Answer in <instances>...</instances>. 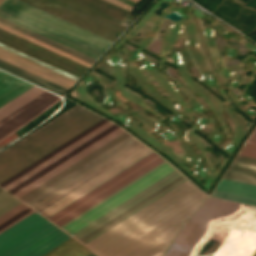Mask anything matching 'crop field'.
I'll return each mask as SVG.
<instances>
[{
  "instance_id": "1",
  "label": "crop field",
  "mask_w": 256,
  "mask_h": 256,
  "mask_svg": "<svg viewBox=\"0 0 256 256\" xmlns=\"http://www.w3.org/2000/svg\"><path fill=\"white\" fill-rule=\"evenodd\" d=\"M185 180L152 152L48 219L85 244Z\"/></svg>"
},
{
  "instance_id": "2",
  "label": "crop field",
  "mask_w": 256,
  "mask_h": 256,
  "mask_svg": "<svg viewBox=\"0 0 256 256\" xmlns=\"http://www.w3.org/2000/svg\"><path fill=\"white\" fill-rule=\"evenodd\" d=\"M205 195L188 180L98 236L87 246L99 256H110L195 200ZM203 196L111 256H161L180 228L203 202Z\"/></svg>"
},
{
  "instance_id": "3",
  "label": "crop field",
  "mask_w": 256,
  "mask_h": 256,
  "mask_svg": "<svg viewBox=\"0 0 256 256\" xmlns=\"http://www.w3.org/2000/svg\"><path fill=\"white\" fill-rule=\"evenodd\" d=\"M130 136L25 203L48 218L152 152Z\"/></svg>"
},
{
  "instance_id": "4",
  "label": "crop field",
  "mask_w": 256,
  "mask_h": 256,
  "mask_svg": "<svg viewBox=\"0 0 256 256\" xmlns=\"http://www.w3.org/2000/svg\"><path fill=\"white\" fill-rule=\"evenodd\" d=\"M90 112L76 105L0 152V185L104 120Z\"/></svg>"
},
{
  "instance_id": "5",
  "label": "crop field",
  "mask_w": 256,
  "mask_h": 256,
  "mask_svg": "<svg viewBox=\"0 0 256 256\" xmlns=\"http://www.w3.org/2000/svg\"><path fill=\"white\" fill-rule=\"evenodd\" d=\"M123 132L105 120L1 186L20 198Z\"/></svg>"
},
{
  "instance_id": "6",
  "label": "crop field",
  "mask_w": 256,
  "mask_h": 256,
  "mask_svg": "<svg viewBox=\"0 0 256 256\" xmlns=\"http://www.w3.org/2000/svg\"><path fill=\"white\" fill-rule=\"evenodd\" d=\"M0 17L97 59L112 43L98 35L24 4L5 0Z\"/></svg>"
},
{
  "instance_id": "7",
  "label": "crop field",
  "mask_w": 256,
  "mask_h": 256,
  "mask_svg": "<svg viewBox=\"0 0 256 256\" xmlns=\"http://www.w3.org/2000/svg\"><path fill=\"white\" fill-rule=\"evenodd\" d=\"M30 85L0 71V104ZM60 100L61 98L32 85L0 105V146L17 136V130Z\"/></svg>"
},
{
  "instance_id": "8",
  "label": "crop field",
  "mask_w": 256,
  "mask_h": 256,
  "mask_svg": "<svg viewBox=\"0 0 256 256\" xmlns=\"http://www.w3.org/2000/svg\"><path fill=\"white\" fill-rule=\"evenodd\" d=\"M69 238L35 212L0 234V256H42Z\"/></svg>"
},
{
  "instance_id": "9",
  "label": "crop field",
  "mask_w": 256,
  "mask_h": 256,
  "mask_svg": "<svg viewBox=\"0 0 256 256\" xmlns=\"http://www.w3.org/2000/svg\"><path fill=\"white\" fill-rule=\"evenodd\" d=\"M223 178L256 185V159L236 155Z\"/></svg>"
},
{
  "instance_id": "10",
  "label": "crop field",
  "mask_w": 256,
  "mask_h": 256,
  "mask_svg": "<svg viewBox=\"0 0 256 256\" xmlns=\"http://www.w3.org/2000/svg\"><path fill=\"white\" fill-rule=\"evenodd\" d=\"M127 136H129L126 132L123 133L122 135L118 136L117 138H115L114 140H112L111 142L107 143L106 145H104L103 147L99 148L98 150H96L95 152H93L92 154L88 155L87 157H85L84 159L80 160L79 162H77L76 164H74L73 166L69 167L68 169H66L65 171L61 172L60 174H58L57 176H55L54 178L50 179L49 181H47L46 183L42 184L41 186H39L38 188H36L35 190L31 191L30 193H28L27 195L23 196L22 198H20L21 200H23L24 202L27 201L28 199H30L31 197H33L34 195L38 194L39 192H41L42 190L46 189L47 187H49L50 185H52L53 183L57 182L58 180H60L61 178H63L64 176L68 175L69 173H71L72 171H74L75 169L79 168L80 166H82L83 164H85L86 162L90 161L91 159H93L94 157H96L97 155L101 154L102 152H104L105 150H107L108 148H110L111 146L115 145L116 143H118L119 141H121L122 139L126 138Z\"/></svg>"
},
{
  "instance_id": "11",
  "label": "crop field",
  "mask_w": 256,
  "mask_h": 256,
  "mask_svg": "<svg viewBox=\"0 0 256 256\" xmlns=\"http://www.w3.org/2000/svg\"><path fill=\"white\" fill-rule=\"evenodd\" d=\"M0 69L4 70V71H7L13 75H16L22 79H25L31 83H34L42 88H45L51 92H54L60 96H62L64 93L67 92V90L61 88V87H58L50 82H47L41 78H38L32 74H29L23 70H20L12 65H9L3 61H0Z\"/></svg>"
},
{
  "instance_id": "12",
  "label": "crop field",
  "mask_w": 256,
  "mask_h": 256,
  "mask_svg": "<svg viewBox=\"0 0 256 256\" xmlns=\"http://www.w3.org/2000/svg\"><path fill=\"white\" fill-rule=\"evenodd\" d=\"M0 23L4 24L6 26H9V27H11V28H13L15 30H18V31H20V32H22L24 34H27V35H29V36H31L33 38H36V39H38V40H40V41H42L44 43H47V44H49V45H51L53 47H56V48H58V49H60L62 51H65V52H67V53H69L71 55H74V56H76V57H78V58H80L82 60H85V61L91 63V64H93L94 61H95V59H93V58H91L89 56H86V55H84V54H82L80 52H77V51H75L73 49H70V48H68V47H66L64 45H61V44H59V43H57L55 41H52V40H50V39H48L46 37H43V36H41V35H39L37 33H34V32H32V31H30L28 29H25V28H23L21 26H18V25L14 24L12 22H9V21H7V20H5L3 18H0Z\"/></svg>"
},
{
  "instance_id": "13",
  "label": "crop field",
  "mask_w": 256,
  "mask_h": 256,
  "mask_svg": "<svg viewBox=\"0 0 256 256\" xmlns=\"http://www.w3.org/2000/svg\"><path fill=\"white\" fill-rule=\"evenodd\" d=\"M90 252L92 251L71 238L60 246L53 249L52 251L48 252L44 256H85ZM87 256L97 255L92 252Z\"/></svg>"
},
{
  "instance_id": "14",
  "label": "crop field",
  "mask_w": 256,
  "mask_h": 256,
  "mask_svg": "<svg viewBox=\"0 0 256 256\" xmlns=\"http://www.w3.org/2000/svg\"><path fill=\"white\" fill-rule=\"evenodd\" d=\"M33 212L35 211L28 208L22 203L14 207L7 213L0 216V233L5 231L12 225L16 224L20 220L24 219L28 215L32 214Z\"/></svg>"
},
{
  "instance_id": "15",
  "label": "crop field",
  "mask_w": 256,
  "mask_h": 256,
  "mask_svg": "<svg viewBox=\"0 0 256 256\" xmlns=\"http://www.w3.org/2000/svg\"><path fill=\"white\" fill-rule=\"evenodd\" d=\"M215 189L256 198V186L253 185L222 179Z\"/></svg>"
},
{
  "instance_id": "16",
  "label": "crop field",
  "mask_w": 256,
  "mask_h": 256,
  "mask_svg": "<svg viewBox=\"0 0 256 256\" xmlns=\"http://www.w3.org/2000/svg\"><path fill=\"white\" fill-rule=\"evenodd\" d=\"M3 190L0 188V191ZM19 202L17 199L12 197L10 194H8L6 191H1L0 192V215L3 213L7 212L14 206L18 205Z\"/></svg>"
},
{
  "instance_id": "17",
  "label": "crop field",
  "mask_w": 256,
  "mask_h": 256,
  "mask_svg": "<svg viewBox=\"0 0 256 256\" xmlns=\"http://www.w3.org/2000/svg\"><path fill=\"white\" fill-rule=\"evenodd\" d=\"M238 154L256 158V128Z\"/></svg>"
},
{
  "instance_id": "18",
  "label": "crop field",
  "mask_w": 256,
  "mask_h": 256,
  "mask_svg": "<svg viewBox=\"0 0 256 256\" xmlns=\"http://www.w3.org/2000/svg\"><path fill=\"white\" fill-rule=\"evenodd\" d=\"M212 196L232 200V201H237V202H242L246 204H251V205H256V199L254 198H249V197H244L240 195H235V194H230V193H225L221 191H216L212 193Z\"/></svg>"
},
{
  "instance_id": "19",
  "label": "crop field",
  "mask_w": 256,
  "mask_h": 256,
  "mask_svg": "<svg viewBox=\"0 0 256 256\" xmlns=\"http://www.w3.org/2000/svg\"><path fill=\"white\" fill-rule=\"evenodd\" d=\"M0 47L5 48V49H7V50H9V51H11V52H13V53H16V54L22 56V57H25V58H27V59L33 61V62H36V63H38V64H40V65H42V66H44V67H47V68H49V69H51V70H53V71H55V72H58V73L62 74V75H64V76H67V77H69V78H71V79H73V80H75V81L78 80V78H76V77H74V76H72V75H70V74H67V73H65V72H63V71H61V70H58V69H56V68H54V67H52V66H50V65H47V64H45V63H43V62H41V61H39V60H36V59H34V58L30 57V56H27V55H25V54H23V53H21V52H19V51H16V50H14V49H12V48H10V47H8V46H5V45H3V44H1V43H0Z\"/></svg>"
},
{
  "instance_id": "20",
  "label": "crop field",
  "mask_w": 256,
  "mask_h": 256,
  "mask_svg": "<svg viewBox=\"0 0 256 256\" xmlns=\"http://www.w3.org/2000/svg\"><path fill=\"white\" fill-rule=\"evenodd\" d=\"M254 256H256V254Z\"/></svg>"
},
{
  "instance_id": "21",
  "label": "crop field",
  "mask_w": 256,
  "mask_h": 256,
  "mask_svg": "<svg viewBox=\"0 0 256 256\" xmlns=\"http://www.w3.org/2000/svg\"><path fill=\"white\" fill-rule=\"evenodd\" d=\"M2 0H0V2H1Z\"/></svg>"
}]
</instances>
